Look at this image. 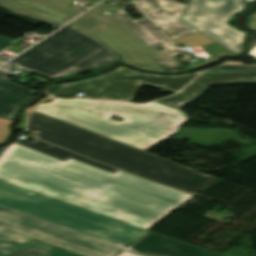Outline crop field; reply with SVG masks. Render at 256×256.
Instances as JSON below:
<instances>
[{
    "label": "crop field",
    "instance_id": "1",
    "mask_svg": "<svg viewBox=\"0 0 256 256\" xmlns=\"http://www.w3.org/2000/svg\"><path fill=\"white\" fill-rule=\"evenodd\" d=\"M2 158L83 184L64 202L146 229L193 197L121 170L112 174L72 158L63 162L17 144Z\"/></svg>",
    "mask_w": 256,
    "mask_h": 256
},
{
    "label": "crop field",
    "instance_id": "2",
    "mask_svg": "<svg viewBox=\"0 0 256 256\" xmlns=\"http://www.w3.org/2000/svg\"><path fill=\"white\" fill-rule=\"evenodd\" d=\"M33 111L143 150L172 136L189 120L184 112L158 102L137 105L122 101L56 99L50 104H39ZM111 115L123 117L125 121H114L108 118Z\"/></svg>",
    "mask_w": 256,
    "mask_h": 256
},
{
    "label": "crop field",
    "instance_id": "3",
    "mask_svg": "<svg viewBox=\"0 0 256 256\" xmlns=\"http://www.w3.org/2000/svg\"><path fill=\"white\" fill-rule=\"evenodd\" d=\"M27 125L41 130L34 137L194 195L216 180L162 157L33 111Z\"/></svg>",
    "mask_w": 256,
    "mask_h": 256
},
{
    "label": "crop field",
    "instance_id": "4",
    "mask_svg": "<svg viewBox=\"0 0 256 256\" xmlns=\"http://www.w3.org/2000/svg\"><path fill=\"white\" fill-rule=\"evenodd\" d=\"M135 1L147 12L175 45L185 43L191 48L201 46L211 56L207 60L202 58L204 63L212 61L222 54H234L179 20L186 4L175 0ZM130 4L138 10L143 16V19L133 20L122 9L123 7L113 13L160 55V57L154 58V60L165 72H178L204 64L183 66L174 57L181 53L133 2Z\"/></svg>",
    "mask_w": 256,
    "mask_h": 256
},
{
    "label": "crop field",
    "instance_id": "5",
    "mask_svg": "<svg viewBox=\"0 0 256 256\" xmlns=\"http://www.w3.org/2000/svg\"><path fill=\"white\" fill-rule=\"evenodd\" d=\"M11 61L25 71L65 79L100 71L121 59L97 38L69 24Z\"/></svg>",
    "mask_w": 256,
    "mask_h": 256
},
{
    "label": "crop field",
    "instance_id": "6",
    "mask_svg": "<svg viewBox=\"0 0 256 256\" xmlns=\"http://www.w3.org/2000/svg\"><path fill=\"white\" fill-rule=\"evenodd\" d=\"M29 192L31 191L0 181V205L113 244L119 242L128 246L149 231L41 194L34 192L29 194Z\"/></svg>",
    "mask_w": 256,
    "mask_h": 256
},
{
    "label": "crop field",
    "instance_id": "7",
    "mask_svg": "<svg viewBox=\"0 0 256 256\" xmlns=\"http://www.w3.org/2000/svg\"><path fill=\"white\" fill-rule=\"evenodd\" d=\"M200 72L178 76H165L142 73L125 67L87 80L66 84L52 85L47 89V96L72 98L77 92L87 98L120 100L132 99L142 83L178 91Z\"/></svg>",
    "mask_w": 256,
    "mask_h": 256
},
{
    "label": "crop field",
    "instance_id": "8",
    "mask_svg": "<svg viewBox=\"0 0 256 256\" xmlns=\"http://www.w3.org/2000/svg\"><path fill=\"white\" fill-rule=\"evenodd\" d=\"M30 239L83 256H113L122 249L0 206V240L25 243Z\"/></svg>",
    "mask_w": 256,
    "mask_h": 256
},
{
    "label": "crop field",
    "instance_id": "9",
    "mask_svg": "<svg viewBox=\"0 0 256 256\" xmlns=\"http://www.w3.org/2000/svg\"><path fill=\"white\" fill-rule=\"evenodd\" d=\"M244 9L245 3L239 0H191L180 19L237 55L242 51L246 32L227 23Z\"/></svg>",
    "mask_w": 256,
    "mask_h": 256
},
{
    "label": "crop field",
    "instance_id": "10",
    "mask_svg": "<svg viewBox=\"0 0 256 256\" xmlns=\"http://www.w3.org/2000/svg\"><path fill=\"white\" fill-rule=\"evenodd\" d=\"M114 8L115 6L104 2L92 8L90 12L107 22L88 33L98 37L104 43L115 49L126 63L133 64L140 69L163 71L152 59L159 56L156 52L144 43L113 13H110L111 15L109 16L102 13L104 10L110 11Z\"/></svg>",
    "mask_w": 256,
    "mask_h": 256
},
{
    "label": "crop field",
    "instance_id": "11",
    "mask_svg": "<svg viewBox=\"0 0 256 256\" xmlns=\"http://www.w3.org/2000/svg\"><path fill=\"white\" fill-rule=\"evenodd\" d=\"M0 180L65 200L85 186L0 158Z\"/></svg>",
    "mask_w": 256,
    "mask_h": 256
},
{
    "label": "crop field",
    "instance_id": "12",
    "mask_svg": "<svg viewBox=\"0 0 256 256\" xmlns=\"http://www.w3.org/2000/svg\"><path fill=\"white\" fill-rule=\"evenodd\" d=\"M114 256H223L194 245L147 232Z\"/></svg>",
    "mask_w": 256,
    "mask_h": 256
},
{
    "label": "crop field",
    "instance_id": "13",
    "mask_svg": "<svg viewBox=\"0 0 256 256\" xmlns=\"http://www.w3.org/2000/svg\"><path fill=\"white\" fill-rule=\"evenodd\" d=\"M216 84H256V71H205L179 94L158 101L181 108Z\"/></svg>",
    "mask_w": 256,
    "mask_h": 256
},
{
    "label": "crop field",
    "instance_id": "14",
    "mask_svg": "<svg viewBox=\"0 0 256 256\" xmlns=\"http://www.w3.org/2000/svg\"><path fill=\"white\" fill-rule=\"evenodd\" d=\"M71 0L68 6L34 1V0H0V5L4 6L16 14L26 15L33 19L46 21L62 26L66 21L79 15L82 11L71 8ZM93 6L99 0H88Z\"/></svg>",
    "mask_w": 256,
    "mask_h": 256
},
{
    "label": "crop field",
    "instance_id": "15",
    "mask_svg": "<svg viewBox=\"0 0 256 256\" xmlns=\"http://www.w3.org/2000/svg\"><path fill=\"white\" fill-rule=\"evenodd\" d=\"M10 73L0 70V117L12 119L20 106L33 99L35 90L6 78Z\"/></svg>",
    "mask_w": 256,
    "mask_h": 256
},
{
    "label": "crop field",
    "instance_id": "16",
    "mask_svg": "<svg viewBox=\"0 0 256 256\" xmlns=\"http://www.w3.org/2000/svg\"><path fill=\"white\" fill-rule=\"evenodd\" d=\"M16 143H18L20 145H23V146H27L31 149H34V150L38 151V152L44 153L46 155H49V156H52V157H55V158H58V159L63 160V161L72 157L76 160L91 164L93 166H96V167H99V168H102V169H105V170H108L112 173H114L118 170V169L111 168L107 165L101 164L99 162L93 161L91 159L85 158L83 156L71 153V152H69L67 150H64L62 148L53 146V145H51V144H49L45 141L39 140V139H36L34 141H31V142L19 139Z\"/></svg>",
    "mask_w": 256,
    "mask_h": 256
},
{
    "label": "crop field",
    "instance_id": "17",
    "mask_svg": "<svg viewBox=\"0 0 256 256\" xmlns=\"http://www.w3.org/2000/svg\"><path fill=\"white\" fill-rule=\"evenodd\" d=\"M106 21L100 19L99 17L87 12L84 15H82L81 17L77 18L76 20H74L73 24H75L76 26L82 28L85 31H90L92 29H94L95 27L99 26L100 24L104 23Z\"/></svg>",
    "mask_w": 256,
    "mask_h": 256
},
{
    "label": "crop field",
    "instance_id": "18",
    "mask_svg": "<svg viewBox=\"0 0 256 256\" xmlns=\"http://www.w3.org/2000/svg\"><path fill=\"white\" fill-rule=\"evenodd\" d=\"M32 246H36V247H40V248H44V249H48L50 250V247L41 245L39 243L36 242H31L28 243L26 245H20V244H13V243H5V242H0V256L15 252V251H19L25 248H29Z\"/></svg>",
    "mask_w": 256,
    "mask_h": 256
},
{
    "label": "crop field",
    "instance_id": "19",
    "mask_svg": "<svg viewBox=\"0 0 256 256\" xmlns=\"http://www.w3.org/2000/svg\"><path fill=\"white\" fill-rule=\"evenodd\" d=\"M50 251L32 247L6 256H48Z\"/></svg>",
    "mask_w": 256,
    "mask_h": 256
},
{
    "label": "crop field",
    "instance_id": "20",
    "mask_svg": "<svg viewBox=\"0 0 256 256\" xmlns=\"http://www.w3.org/2000/svg\"><path fill=\"white\" fill-rule=\"evenodd\" d=\"M10 122L11 120L0 118V143L8 137Z\"/></svg>",
    "mask_w": 256,
    "mask_h": 256
},
{
    "label": "crop field",
    "instance_id": "21",
    "mask_svg": "<svg viewBox=\"0 0 256 256\" xmlns=\"http://www.w3.org/2000/svg\"><path fill=\"white\" fill-rule=\"evenodd\" d=\"M209 70H256V65L220 66Z\"/></svg>",
    "mask_w": 256,
    "mask_h": 256
},
{
    "label": "crop field",
    "instance_id": "22",
    "mask_svg": "<svg viewBox=\"0 0 256 256\" xmlns=\"http://www.w3.org/2000/svg\"><path fill=\"white\" fill-rule=\"evenodd\" d=\"M246 26L247 28H256V11L247 16Z\"/></svg>",
    "mask_w": 256,
    "mask_h": 256
},
{
    "label": "crop field",
    "instance_id": "23",
    "mask_svg": "<svg viewBox=\"0 0 256 256\" xmlns=\"http://www.w3.org/2000/svg\"><path fill=\"white\" fill-rule=\"evenodd\" d=\"M11 42H13L11 39L0 36V50L5 46H7L8 44H10ZM4 61L6 60L0 58V64Z\"/></svg>",
    "mask_w": 256,
    "mask_h": 256
},
{
    "label": "crop field",
    "instance_id": "24",
    "mask_svg": "<svg viewBox=\"0 0 256 256\" xmlns=\"http://www.w3.org/2000/svg\"><path fill=\"white\" fill-rule=\"evenodd\" d=\"M50 256H74V255H71V254H68V253H65L63 251H60V250H57V249L53 248Z\"/></svg>",
    "mask_w": 256,
    "mask_h": 256
},
{
    "label": "crop field",
    "instance_id": "25",
    "mask_svg": "<svg viewBox=\"0 0 256 256\" xmlns=\"http://www.w3.org/2000/svg\"><path fill=\"white\" fill-rule=\"evenodd\" d=\"M40 1H46V2L64 4V5H68V3L70 2V0H40Z\"/></svg>",
    "mask_w": 256,
    "mask_h": 256
},
{
    "label": "crop field",
    "instance_id": "26",
    "mask_svg": "<svg viewBox=\"0 0 256 256\" xmlns=\"http://www.w3.org/2000/svg\"><path fill=\"white\" fill-rule=\"evenodd\" d=\"M248 54H250L256 58V47L253 50H251Z\"/></svg>",
    "mask_w": 256,
    "mask_h": 256
},
{
    "label": "crop field",
    "instance_id": "27",
    "mask_svg": "<svg viewBox=\"0 0 256 256\" xmlns=\"http://www.w3.org/2000/svg\"><path fill=\"white\" fill-rule=\"evenodd\" d=\"M1 68L5 69V70H8V71H9V69H10V67H8V66H6V65L2 66Z\"/></svg>",
    "mask_w": 256,
    "mask_h": 256
},
{
    "label": "crop field",
    "instance_id": "28",
    "mask_svg": "<svg viewBox=\"0 0 256 256\" xmlns=\"http://www.w3.org/2000/svg\"><path fill=\"white\" fill-rule=\"evenodd\" d=\"M127 1H128L127 3H125V4L122 3V4H120L119 6L122 7V6H124V5H126V4H128V3H130V2H132V1H130V0H127Z\"/></svg>",
    "mask_w": 256,
    "mask_h": 256
},
{
    "label": "crop field",
    "instance_id": "29",
    "mask_svg": "<svg viewBox=\"0 0 256 256\" xmlns=\"http://www.w3.org/2000/svg\"><path fill=\"white\" fill-rule=\"evenodd\" d=\"M247 1H253V0H247Z\"/></svg>",
    "mask_w": 256,
    "mask_h": 256
}]
</instances>
